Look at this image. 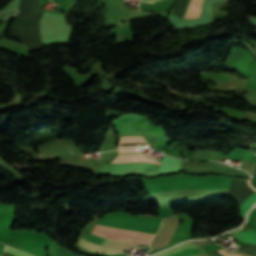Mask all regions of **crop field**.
<instances>
[{
  "instance_id": "1",
  "label": "crop field",
  "mask_w": 256,
  "mask_h": 256,
  "mask_svg": "<svg viewBox=\"0 0 256 256\" xmlns=\"http://www.w3.org/2000/svg\"><path fill=\"white\" fill-rule=\"evenodd\" d=\"M28 2H29V7L33 12V14L39 17L41 13L39 0H28ZM28 2L27 0L20 1V6L18 8L20 13L15 16L18 18H22V19H26V20L38 23L39 19L36 18L31 13L28 7ZM18 18H16V21H15V26H14L15 32L20 34H25V35L40 36L37 23L29 22L26 20L18 19ZM14 35L17 36L27 46L29 52L43 48L41 46L40 37L25 36V35H19L15 33Z\"/></svg>"
},
{
  "instance_id": "2",
  "label": "crop field",
  "mask_w": 256,
  "mask_h": 256,
  "mask_svg": "<svg viewBox=\"0 0 256 256\" xmlns=\"http://www.w3.org/2000/svg\"><path fill=\"white\" fill-rule=\"evenodd\" d=\"M96 228H100V229H103V230H106V231H110V232H115V233L128 234V235H134V236H141V237H147V238H151L153 236L152 234L128 231V230L111 228V227H105V226H99V225H96ZM84 238H86V239H88V240H90L92 242H95L97 244L105 245L107 247L116 248V249H120V250H126L127 247L137 248V246H138V245L124 243V242L106 240V239L100 238V237L92 235V234H90V235H88V236H86ZM88 240H85V239L82 238L79 241L78 244H80L83 247H86V248H89L91 250H94L96 252H107V253H119V252H121L119 250H115V249L107 248L105 246L97 245V244L92 243V242H90Z\"/></svg>"
},
{
  "instance_id": "3",
  "label": "crop field",
  "mask_w": 256,
  "mask_h": 256,
  "mask_svg": "<svg viewBox=\"0 0 256 256\" xmlns=\"http://www.w3.org/2000/svg\"><path fill=\"white\" fill-rule=\"evenodd\" d=\"M197 173H218L249 177L248 174L219 162H209V168H197Z\"/></svg>"
},
{
  "instance_id": "4",
  "label": "crop field",
  "mask_w": 256,
  "mask_h": 256,
  "mask_svg": "<svg viewBox=\"0 0 256 256\" xmlns=\"http://www.w3.org/2000/svg\"><path fill=\"white\" fill-rule=\"evenodd\" d=\"M204 252L201 248L194 244H184L182 246L161 252L155 256H194Z\"/></svg>"
},
{
  "instance_id": "5",
  "label": "crop field",
  "mask_w": 256,
  "mask_h": 256,
  "mask_svg": "<svg viewBox=\"0 0 256 256\" xmlns=\"http://www.w3.org/2000/svg\"><path fill=\"white\" fill-rule=\"evenodd\" d=\"M201 0H188V4L184 13V19L196 18L200 16Z\"/></svg>"
},
{
  "instance_id": "6",
  "label": "crop field",
  "mask_w": 256,
  "mask_h": 256,
  "mask_svg": "<svg viewBox=\"0 0 256 256\" xmlns=\"http://www.w3.org/2000/svg\"><path fill=\"white\" fill-rule=\"evenodd\" d=\"M235 235H237L241 239V241H243V242L256 245V231H254V230L235 233ZM218 252L225 255L224 253H222L220 251H218ZM225 256H227V255H225Z\"/></svg>"
},
{
  "instance_id": "7",
  "label": "crop field",
  "mask_w": 256,
  "mask_h": 256,
  "mask_svg": "<svg viewBox=\"0 0 256 256\" xmlns=\"http://www.w3.org/2000/svg\"><path fill=\"white\" fill-rule=\"evenodd\" d=\"M238 179V178H234ZM244 180V179H238ZM256 201V192L244 203L240 206L241 214L239 216L244 217L246 211L251 207V205Z\"/></svg>"
},
{
  "instance_id": "8",
  "label": "crop field",
  "mask_w": 256,
  "mask_h": 256,
  "mask_svg": "<svg viewBox=\"0 0 256 256\" xmlns=\"http://www.w3.org/2000/svg\"><path fill=\"white\" fill-rule=\"evenodd\" d=\"M242 162H243V164H242V166H240V168L243 170L249 171L250 174L253 175V173L256 169V163L248 162V161H244V160H242Z\"/></svg>"
},
{
  "instance_id": "9",
  "label": "crop field",
  "mask_w": 256,
  "mask_h": 256,
  "mask_svg": "<svg viewBox=\"0 0 256 256\" xmlns=\"http://www.w3.org/2000/svg\"><path fill=\"white\" fill-rule=\"evenodd\" d=\"M5 252L11 253V254H14V255H17V256H31V255H28L26 253L20 252L18 250L12 249V248L7 247V246L5 247Z\"/></svg>"
},
{
  "instance_id": "10",
  "label": "crop field",
  "mask_w": 256,
  "mask_h": 256,
  "mask_svg": "<svg viewBox=\"0 0 256 256\" xmlns=\"http://www.w3.org/2000/svg\"><path fill=\"white\" fill-rule=\"evenodd\" d=\"M191 156L217 157L215 154H191Z\"/></svg>"
},
{
  "instance_id": "11",
  "label": "crop field",
  "mask_w": 256,
  "mask_h": 256,
  "mask_svg": "<svg viewBox=\"0 0 256 256\" xmlns=\"http://www.w3.org/2000/svg\"><path fill=\"white\" fill-rule=\"evenodd\" d=\"M149 1H160V0H143V2H149Z\"/></svg>"
},
{
  "instance_id": "12",
  "label": "crop field",
  "mask_w": 256,
  "mask_h": 256,
  "mask_svg": "<svg viewBox=\"0 0 256 256\" xmlns=\"http://www.w3.org/2000/svg\"><path fill=\"white\" fill-rule=\"evenodd\" d=\"M251 97L256 98V93H254Z\"/></svg>"
},
{
  "instance_id": "13",
  "label": "crop field",
  "mask_w": 256,
  "mask_h": 256,
  "mask_svg": "<svg viewBox=\"0 0 256 256\" xmlns=\"http://www.w3.org/2000/svg\"><path fill=\"white\" fill-rule=\"evenodd\" d=\"M144 138V137H143ZM119 141H120V137H119ZM149 145V144H148ZM150 146V145H149ZM119 147V146H118Z\"/></svg>"
}]
</instances>
